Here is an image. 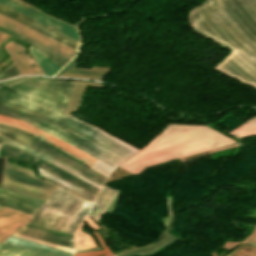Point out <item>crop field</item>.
Returning <instances> with one entry per match:
<instances>
[{
  "label": "crop field",
  "instance_id": "5",
  "mask_svg": "<svg viewBox=\"0 0 256 256\" xmlns=\"http://www.w3.org/2000/svg\"><path fill=\"white\" fill-rule=\"evenodd\" d=\"M75 82L59 79L25 78L2 84L16 90V93L3 89L0 91L36 99L63 112Z\"/></svg>",
  "mask_w": 256,
  "mask_h": 256
},
{
  "label": "crop field",
  "instance_id": "4",
  "mask_svg": "<svg viewBox=\"0 0 256 256\" xmlns=\"http://www.w3.org/2000/svg\"><path fill=\"white\" fill-rule=\"evenodd\" d=\"M0 13L17 21L20 22L48 37H51L75 50L78 51V45L79 43L0 4ZM0 14V26L4 27L6 29L12 30L14 32H17L43 46H45L46 48L50 49L51 51L67 58V59H71L76 53L77 51L51 39L48 38L20 23H17L3 15Z\"/></svg>",
  "mask_w": 256,
  "mask_h": 256
},
{
  "label": "crop field",
  "instance_id": "34",
  "mask_svg": "<svg viewBox=\"0 0 256 256\" xmlns=\"http://www.w3.org/2000/svg\"><path fill=\"white\" fill-rule=\"evenodd\" d=\"M9 35H6L4 33H0V43L3 42Z\"/></svg>",
  "mask_w": 256,
  "mask_h": 256
},
{
  "label": "crop field",
  "instance_id": "8",
  "mask_svg": "<svg viewBox=\"0 0 256 256\" xmlns=\"http://www.w3.org/2000/svg\"><path fill=\"white\" fill-rule=\"evenodd\" d=\"M3 187L46 200L57 186L33 177L31 171L7 163Z\"/></svg>",
  "mask_w": 256,
  "mask_h": 256
},
{
  "label": "crop field",
  "instance_id": "29",
  "mask_svg": "<svg viewBox=\"0 0 256 256\" xmlns=\"http://www.w3.org/2000/svg\"><path fill=\"white\" fill-rule=\"evenodd\" d=\"M234 146H238V144L235 143V144L227 145V146L220 147V148H217V149H213V150H209V151H206V152H202V153H198V154H195V155H191V156H188V157L180 158V160H181L182 162H184V161H186V160H188V159H191V158H195V157L207 155V154H210V153H212V152L219 151V150H223V149H227V148H231V147H234Z\"/></svg>",
  "mask_w": 256,
  "mask_h": 256
},
{
  "label": "crop field",
  "instance_id": "16",
  "mask_svg": "<svg viewBox=\"0 0 256 256\" xmlns=\"http://www.w3.org/2000/svg\"><path fill=\"white\" fill-rule=\"evenodd\" d=\"M16 233H20V234H23V235H26V236L37 238V239H40V240H43V241H47V242H50V243H53V244H57V245L64 246V247L75 250L73 241L71 239L59 237V236H56V235L40 232V231H37V230L25 228V227L21 228Z\"/></svg>",
  "mask_w": 256,
  "mask_h": 256
},
{
  "label": "crop field",
  "instance_id": "24",
  "mask_svg": "<svg viewBox=\"0 0 256 256\" xmlns=\"http://www.w3.org/2000/svg\"><path fill=\"white\" fill-rule=\"evenodd\" d=\"M0 123H4V124H8V125H12L14 127H17L19 129L25 130L27 132H30L40 138H42L43 136L46 135V133L20 121L17 119H13V118H9V117H5V116H1L0 115Z\"/></svg>",
  "mask_w": 256,
  "mask_h": 256
},
{
  "label": "crop field",
  "instance_id": "22",
  "mask_svg": "<svg viewBox=\"0 0 256 256\" xmlns=\"http://www.w3.org/2000/svg\"><path fill=\"white\" fill-rule=\"evenodd\" d=\"M236 138L240 139L246 136L256 135V116L250 118L238 128L228 132Z\"/></svg>",
  "mask_w": 256,
  "mask_h": 256
},
{
  "label": "crop field",
  "instance_id": "36",
  "mask_svg": "<svg viewBox=\"0 0 256 256\" xmlns=\"http://www.w3.org/2000/svg\"><path fill=\"white\" fill-rule=\"evenodd\" d=\"M0 208H2V206H0Z\"/></svg>",
  "mask_w": 256,
  "mask_h": 256
},
{
  "label": "crop field",
  "instance_id": "21",
  "mask_svg": "<svg viewBox=\"0 0 256 256\" xmlns=\"http://www.w3.org/2000/svg\"><path fill=\"white\" fill-rule=\"evenodd\" d=\"M0 256H44V255L2 242L0 243Z\"/></svg>",
  "mask_w": 256,
  "mask_h": 256
},
{
  "label": "crop field",
  "instance_id": "30",
  "mask_svg": "<svg viewBox=\"0 0 256 256\" xmlns=\"http://www.w3.org/2000/svg\"><path fill=\"white\" fill-rule=\"evenodd\" d=\"M25 227L37 229V230H40V231H44V232H48V233H52V234H56V235H59V236H63V237H67V238H71L72 239V235H69V234H65V233H61V232H57V231H53V230H49V229H45V228L29 225V224L25 225Z\"/></svg>",
  "mask_w": 256,
  "mask_h": 256
},
{
  "label": "crop field",
  "instance_id": "25",
  "mask_svg": "<svg viewBox=\"0 0 256 256\" xmlns=\"http://www.w3.org/2000/svg\"><path fill=\"white\" fill-rule=\"evenodd\" d=\"M39 171H40V174L44 175V176H47L53 180H55L56 182H58L60 185H62L64 188L86 198V199H90V200H93L95 196L83 191L82 189L70 184V183H67V182H64L56 177H54L53 175L43 171L41 168H39Z\"/></svg>",
  "mask_w": 256,
  "mask_h": 256
},
{
  "label": "crop field",
  "instance_id": "3",
  "mask_svg": "<svg viewBox=\"0 0 256 256\" xmlns=\"http://www.w3.org/2000/svg\"><path fill=\"white\" fill-rule=\"evenodd\" d=\"M231 142L235 141L204 125L168 124L160 135L120 167L137 174L157 163Z\"/></svg>",
  "mask_w": 256,
  "mask_h": 256
},
{
  "label": "crop field",
  "instance_id": "9",
  "mask_svg": "<svg viewBox=\"0 0 256 256\" xmlns=\"http://www.w3.org/2000/svg\"><path fill=\"white\" fill-rule=\"evenodd\" d=\"M0 3L79 42L76 28L60 20L49 17L19 0H0Z\"/></svg>",
  "mask_w": 256,
  "mask_h": 256
},
{
  "label": "crop field",
  "instance_id": "35",
  "mask_svg": "<svg viewBox=\"0 0 256 256\" xmlns=\"http://www.w3.org/2000/svg\"><path fill=\"white\" fill-rule=\"evenodd\" d=\"M250 256H256V247H254V249H253V251H252Z\"/></svg>",
  "mask_w": 256,
  "mask_h": 256
},
{
  "label": "crop field",
  "instance_id": "26",
  "mask_svg": "<svg viewBox=\"0 0 256 256\" xmlns=\"http://www.w3.org/2000/svg\"><path fill=\"white\" fill-rule=\"evenodd\" d=\"M0 205L22 211V212H25V213L30 214V215H33L35 213V211L37 210V208H33V207H30V206H27V205L16 203V202L6 200V199H3V198H0Z\"/></svg>",
  "mask_w": 256,
  "mask_h": 256
},
{
  "label": "crop field",
  "instance_id": "28",
  "mask_svg": "<svg viewBox=\"0 0 256 256\" xmlns=\"http://www.w3.org/2000/svg\"><path fill=\"white\" fill-rule=\"evenodd\" d=\"M19 74H20V73H19L18 70L16 69L14 63H12L10 66H8L6 69H4V70L0 73V79L12 77V76L19 75Z\"/></svg>",
  "mask_w": 256,
  "mask_h": 256
},
{
  "label": "crop field",
  "instance_id": "27",
  "mask_svg": "<svg viewBox=\"0 0 256 256\" xmlns=\"http://www.w3.org/2000/svg\"><path fill=\"white\" fill-rule=\"evenodd\" d=\"M95 236L97 237L98 241L100 242L101 246L104 250L99 251H89V252H80L75 253L74 256H113V254L109 251V249L105 246L104 242L100 238L99 234L95 233Z\"/></svg>",
  "mask_w": 256,
  "mask_h": 256
},
{
  "label": "crop field",
  "instance_id": "14",
  "mask_svg": "<svg viewBox=\"0 0 256 256\" xmlns=\"http://www.w3.org/2000/svg\"><path fill=\"white\" fill-rule=\"evenodd\" d=\"M0 143H7V144H9L11 146L19 148V149H21L23 151H26V152L30 153V154L38 156V157H40V158H42V159H44V160H46V161H48V162L58 166L59 168H61V169L65 170V171L71 173L72 175H74V176H76V177L86 181L87 183H89V184H91V185H93V186H95V187H97L99 189L102 186V185H100V184H98V183L88 179L87 177H85V176L75 172L74 170H72V169H70V168L60 164L59 162H57V161H55V160H53V159H51V158H49V157L39 153V152H37V151H35V150L31 149V148H28V147H26V146H24V145H22V144H20V143H18L16 141H14V140H11V139H9L7 137H4V136L0 135Z\"/></svg>",
  "mask_w": 256,
  "mask_h": 256
},
{
  "label": "crop field",
  "instance_id": "33",
  "mask_svg": "<svg viewBox=\"0 0 256 256\" xmlns=\"http://www.w3.org/2000/svg\"><path fill=\"white\" fill-rule=\"evenodd\" d=\"M247 244L256 246V233L251 237Z\"/></svg>",
  "mask_w": 256,
  "mask_h": 256
},
{
  "label": "crop field",
  "instance_id": "7",
  "mask_svg": "<svg viewBox=\"0 0 256 256\" xmlns=\"http://www.w3.org/2000/svg\"><path fill=\"white\" fill-rule=\"evenodd\" d=\"M0 134L5 135L11 139H14L28 147H31L49 157H51V158L61 162L62 164L74 169L75 171L89 177L90 179H92L102 185L106 179L105 176L91 170L88 167H85V166L79 164L78 162L74 161L73 159L64 155L63 153L57 151L56 149L34 139L33 137H31L19 130H16L14 128L7 127V126L0 124Z\"/></svg>",
  "mask_w": 256,
  "mask_h": 256
},
{
  "label": "crop field",
  "instance_id": "12",
  "mask_svg": "<svg viewBox=\"0 0 256 256\" xmlns=\"http://www.w3.org/2000/svg\"><path fill=\"white\" fill-rule=\"evenodd\" d=\"M30 219V216L20 212L4 209L0 211V241L8 237L22 227Z\"/></svg>",
  "mask_w": 256,
  "mask_h": 256
},
{
  "label": "crop field",
  "instance_id": "23",
  "mask_svg": "<svg viewBox=\"0 0 256 256\" xmlns=\"http://www.w3.org/2000/svg\"><path fill=\"white\" fill-rule=\"evenodd\" d=\"M0 190L10 192V193H12V194H14L18 197L29 199L31 201L21 199V198H18V197H14V196H11V195L3 194V193H0V197L10 199V200H13V201H16V202H20V203H23V204H27V205H30V206H33V207L39 208L41 206V204L44 202V200L37 199V198L31 197V196H27V195H24V194H21V193H17V192L11 191V190H7V189L1 188V187H0Z\"/></svg>",
  "mask_w": 256,
  "mask_h": 256
},
{
  "label": "crop field",
  "instance_id": "10",
  "mask_svg": "<svg viewBox=\"0 0 256 256\" xmlns=\"http://www.w3.org/2000/svg\"><path fill=\"white\" fill-rule=\"evenodd\" d=\"M116 190L103 186L94 203L86 201L77 213L70 219L64 232L73 234L84 215H90L96 221L103 214ZM63 232V231H62Z\"/></svg>",
  "mask_w": 256,
  "mask_h": 256
},
{
  "label": "crop field",
  "instance_id": "32",
  "mask_svg": "<svg viewBox=\"0 0 256 256\" xmlns=\"http://www.w3.org/2000/svg\"><path fill=\"white\" fill-rule=\"evenodd\" d=\"M5 165H6V158H0V186H2V183H3Z\"/></svg>",
  "mask_w": 256,
  "mask_h": 256
},
{
  "label": "crop field",
  "instance_id": "13",
  "mask_svg": "<svg viewBox=\"0 0 256 256\" xmlns=\"http://www.w3.org/2000/svg\"><path fill=\"white\" fill-rule=\"evenodd\" d=\"M4 242H8L14 245H18L48 256H72V253L65 252L56 248H52L46 245H42L33 241H29L20 237L11 235Z\"/></svg>",
  "mask_w": 256,
  "mask_h": 256
},
{
  "label": "crop field",
  "instance_id": "20",
  "mask_svg": "<svg viewBox=\"0 0 256 256\" xmlns=\"http://www.w3.org/2000/svg\"><path fill=\"white\" fill-rule=\"evenodd\" d=\"M30 52L40 65L41 69L45 73V75H53L56 71H58L61 67L53 63L51 60L46 58L44 55H42L40 52L35 50L34 48L30 47Z\"/></svg>",
  "mask_w": 256,
  "mask_h": 256
},
{
  "label": "crop field",
  "instance_id": "1",
  "mask_svg": "<svg viewBox=\"0 0 256 256\" xmlns=\"http://www.w3.org/2000/svg\"><path fill=\"white\" fill-rule=\"evenodd\" d=\"M189 18L195 30L232 50L214 69L256 88V0H208Z\"/></svg>",
  "mask_w": 256,
  "mask_h": 256
},
{
  "label": "crop field",
  "instance_id": "15",
  "mask_svg": "<svg viewBox=\"0 0 256 256\" xmlns=\"http://www.w3.org/2000/svg\"><path fill=\"white\" fill-rule=\"evenodd\" d=\"M108 70L76 68L73 60L58 76L93 78L102 81Z\"/></svg>",
  "mask_w": 256,
  "mask_h": 256
},
{
  "label": "crop field",
  "instance_id": "19",
  "mask_svg": "<svg viewBox=\"0 0 256 256\" xmlns=\"http://www.w3.org/2000/svg\"><path fill=\"white\" fill-rule=\"evenodd\" d=\"M4 48L8 52V54L18 67V69L20 70L21 74H35L33 70L29 67L25 59L21 56V54L16 50V48L12 44L7 43Z\"/></svg>",
  "mask_w": 256,
  "mask_h": 256
},
{
  "label": "crop field",
  "instance_id": "18",
  "mask_svg": "<svg viewBox=\"0 0 256 256\" xmlns=\"http://www.w3.org/2000/svg\"><path fill=\"white\" fill-rule=\"evenodd\" d=\"M163 234H164L163 237L153 245H150V246H147V247H144V248H141V249H137V250L127 251V252L121 253L120 255L121 256H128V255H132V254H138V255L151 254L155 250H157L158 248H160V247L172 242L173 240L177 239L174 236H172V235H170L166 232H164Z\"/></svg>",
  "mask_w": 256,
  "mask_h": 256
},
{
  "label": "crop field",
  "instance_id": "2",
  "mask_svg": "<svg viewBox=\"0 0 256 256\" xmlns=\"http://www.w3.org/2000/svg\"><path fill=\"white\" fill-rule=\"evenodd\" d=\"M20 107L28 109L40 116H43L55 123L63 119L66 114L44 105L36 100L0 92V114L20 119L46 133L71 144L72 146L92 155L93 157L117 167L128 157L139 149L87 124L70 115H68L61 124L87 136L94 142L27 110L15 108Z\"/></svg>",
  "mask_w": 256,
  "mask_h": 256
},
{
  "label": "crop field",
  "instance_id": "17",
  "mask_svg": "<svg viewBox=\"0 0 256 256\" xmlns=\"http://www.w3.org/2000/svg\"><path fill=\"white\" fill-rule=\"evenodd\" d=\"M0 31L5 32V33L10 34V35H14V36H16V37H18V38H20V39L30 43V45L32 47H34L35 49L40 51L42 54H44L46 57H48L49 59H51L52 61H54L56 64H58L61 67L68 62V60H66V59H64V58L54 54L53 52H51L50 50L46 49L45 47H43V46H41V45H39V44H37V43H35V42L25 38V37H23V36H21V35H19L17 33L11 32V31L6 30V29H3L1 27H0Z\"/></svg>",
  "mask_w": 256,
  "mask_h": 256
},
{
  "label": "crop field",
  "instance_id": "31",
  "mask_svg": "<svg viewBox=\"0 0 256 256\" xmlns=\"http://www.w3.org/2000/svg\"><path fill=\"white\" fill-rule=\"evenodd\" d=\"M13 235L20 236V237H23V238H26V239H29V240H33V241H36V242H39V243H43V244H46V245H49V246H52V247H56V248H59V249H62V250L74 253V250H70V249H67V248H64V247L53 245V244H50V243H47V242H43V241H40V240H37V239H33V238L26 237V236H23V235H20V234H16V233H14Z\"/></svg>",
  "mask_w": 256,
  "mask_h": 256
},
{
  "label": "crop field",
  "instance_id": "11",
  "mask_svg": "<svg viewBox=\"0 0 256 256\" xmlns=\"http://www.w3.org/2000/svg\"><path fill=\"white\" fill-rule=\"evenodd\" d=\"M43 140L69 152L70 154L74 155L75 157L83 160L85 163H87L92 168H94L106 175H109L115 169V168L93 158L92 156L72 147L71 145L49 135V134Z\"/></svg>",
  "mask_w": 256,
  "mask_h": 256
},
{
  "label": "crop field",
  "instance_id": "6",
  "mask_svg": "<svg viewBox=\"0 0 256 256\" xmlns=\"http://www.w3.org/2000/svg\"><path fill=\"white\" fill-rule=\"evenodd\" d=\"M84 202L85 200L58 187L29 224L62 232L68 220Z\"/></svg>",
  "mask_w": 256,
  "mask_h": 256
}]
</instances>
